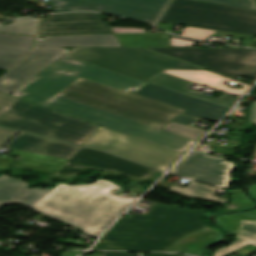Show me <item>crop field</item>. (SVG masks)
Returning <instances> with one entry per match:
<instances>
[{
	"mask_svg": "<svg viewBox=\"0 0 256 256\" xmlns=\"http://www.w3.org/2000/svg\"><path fill=\"white\" fill-rule=\"evenodd\" d=\"M84 171V169L76 167V166H72V165H68L66 164L62 169H60L56 174L59 175H65V176H70L73 174H77Z\"/></svg>",
	"mask_w": 256,
	"mask_h": 256,
	"instance_id": "crop-field-29",
	"label": "crop field"
},
{
	"mask_svg": "<svg viewBox=\"0 0 256 256\" xmlns=\"http://www.w3.org/2000/svg\"><path fill=\"white\" fill-rule=\"evenodd\" d=\"M161 22L256 36V10L173 0Z\"/></svg>",
	"mask_w": 256,
	"mask_h": 256,
	"instance_id": "crop-field-6",
	"label": "crop field"
},
{
	"mask_svg": "<svg viewBox=\"0 0 256 256\" xmlns=\"http://www.w3.org/2000/svg\"><path fill=\"white\" fill-rule=\"evenodd\" d=\"M68 164L93 167L107 171L109 169H115L123 174L136 177L145 178L150 175L154 170L137 165L135 163L114 157L112 155L93 150L82 148L69 162Z\"/></svg>",
	"mask_w": 256,
	"mask_h": 256,
	"instance_id": "crop-field-15",
	"label": "crop field"
},
{
	"mask_svg": "<svg viewBox=\"0 0 256 256\" xmlns=\"http://www.w3.org/2000/svg\"><path fill=\"white\" fill-rule=\"evenodd\" d=\"M35 37L0 34V69L9 70L28 54Z\"/></svg>",
	"mask_w": 256,
	"mask_h": 256,
	"instance_id": "crop-field-19",
	"label": "crop field"
},
{
	"mask_svg": "<svg viewBox=\"0 0 256 256\" xmlns=\"http://www.w3.org/2000/svg\"><path fill=\"white\" fill-rule=\"evenodd\" d=\"M214 3H221L245 8L256 9V3L254 0H200Z\"/></svg>",
	"mask_w": 256,
	"mask_h": 256,
	"instance_id": "crop-field-27",
	"label": "crop field"
},
{
	"mask_svg": "<svg viewBox=\"0 0 256 256\" xmlns=\"http://www.w3.org/2000/svg\"><path fill=\"white\" fill-rule=\"evenodd\" d=\"M172 121L192 126L195 123L199 122L200 119H195V118H191V117H186V116L178 115Z\"/></svg>",
	"mask_w": 256,
	"mask_h": 256,
	"instance_id": "crop-field-30",
	"label": "crop field"
},
{
	"mask_svg": "<svg viewBox=\"0 0 256 256\" xmlns=\"http://www.w3.org/2000/svg\"><path fill=\"white\" fill-rule=\"evenodd\" d=\"M48 109L0 93V127L23 131Z\"/></svg>",
	"mask_w": 256,
	"mask_h": 256,
	"instance_id": "crop-field-16",
	"label": "crop field"
},
{
	"mask_svg": "<svg viewBox=\"0 0 256 256\" xmlns=\"http://www.w3.org/2000/svg\"><path fill=\"white\" fill-rule=\"evenodd\" d=\"M26 186L25 182L1 176L0 209L20 203L41 214L72 224L93 236H99L134 201L113 196L109 190L120 188L101 179L91 185L60 184L52 190H26Z\"/></svg>",
	"mask_w": 256,
	"mask_h": 256,
	"instance_id": "crop-field-2",
	"label": "crop field"
},
{
	"mask_svg": "<svg viewBox=\"0 0 256 256\" xmlns=\"http://www.w3.org/2000/svg\"><path fill=\"white\" fill-rule=\"evenodd\" d=\"M164 73L179 77V78H183L189 81H193L229 94H233V95H237V96H241L243 93L246 92V90L242 89V90H238V89H233L230 88L227 85L222 84L224 81L228 80V81H232L238 84H242L244 85V88H251V85H247L244 83H240L237 81H233L230 79H226L224 77H221L219 75H216L214 73H211L209 71H189V70H166L164 71Z\"/></svg>",
	"mask_w": 256,
	"mask_h": 256,
	"instance_id": "crop-field-20",
	"label": "crop field"
},
{
	"mask_svg": "<svg viewBox=\"0 0 256 256\" xmlns=\"http://www.w3.org/2000/svg\"><path fill=\"white\" fill-rule=\"evenodd\" d=\"M162 130L171 132L192 140L197 141V139L200 137V135H203L207 132V130L198 129L174 122H170L167 126H165Z\"/></svg>",
	"mask_w": 256,
	"mask_h": 256,
	"instance_id": "crop-field-26",
	"label": "crop field"
},
{
	"mask_svg": "<svg viewBox=\"0 0 256 256\" xmlns=\"http://www.w3.org/2000/svg\"><path fill=\"white\" fill-rule=\"evenodd\" d=\"M37 23L38 19L33 17L14 20L13 23L6 26L0 24V32L36 35Z\"/></svg>",
	"mask_w": 256,
	"mask_h": 256,
	"instance_id": "crop-field-24",
	"label": "crop field"
},
{
	"mask_svg": "<svg viewBox=\"0 0 256 256\" xmlns=\"http://www.w3.org/2000/svg\"><path fill=\"white\" fill-rule=\"evenodd\" d=\"M135 94L165 102L186 110L183 114L219 121L230 109L181 94L154 84H146Z\"/></svg>",
	"mask_w": 256,
	"mask_h": 256,
	"instance_id": "crop-field-14",
	"label": "crop field"
},
{
	"mask_svg": "<svg viewBox=\"0 0 256 256\" xmlns=\"http://www.w3.org/2000/svg\"><path fill=\"white\" fill-rule=\"evenodd\" d=\"M74 46L121 47L112 34L45 37V41H36L33 49Z\"/></svg>",
	"mask_w": 256,
	"mask_h": 256,
	"instance_id": "crop-field-18",
	"label": "crop field"
},
{
	"mask_svg": "<svg viewBox=\"0 0 256 256\" xmlns=\"http://www.w3.org/2000/svg\"><path fill=\"white\" fill-rule=\"evenodd\" d=\"M18 132L0 128V148L10 141Z\"/></svg>",
	"mask_w": 256,
	"mask_h": 256,
	"instance_id": "crop-field-28",
	"label": "crop field"
},
{
	"mask_svg": "<svg viewBox=\"0 0 256 256\" xmlns=\"http://www.w3.org/2000/svg\"><path fill=\"white\" fill-rule=\"evenodd\" d=\"M249 121L256 124V102L250 104Z\"/></svg>",
	"mask_w": 256,
	"mask_h": 256,
	"instance_id": "crop-field-32",
	"label": "crop field"
},
{
	"mask_svg": "<svg viewBox=\"0 0 256 256\" xmlns=\"http://www.w3.org/2000/svg\"><path fill=\"white\" fill-rule=\"evenodd\" d=\"M233 166L234 163L225 158L192 152L171 174L229 188Z\"/></svg>",
	"mask_w": 256,
	"mask_h": 256,
	"instance_id": "crop-field-11",
	"label": "crop field"
},
{
	"mask_svg": "<svg viewBox=\"0 0 256 256\" xmlns=\"http://www.w3.org/2000/svg\"><path fill=\"white\" fill-rule=\"evenodd\" d=\"M67 52L64 48L31 50L23 61L0 77V92L11 94Z\"/></svg>",
	"mask_w": 256,
	"mask_h": 256,
	"instance_id": "crop-field-13",
	"label": "crop field"
},
{
	"mask_svg": "<svg viewBox=\"0 0 256 256\" xmlns=\"http://www.w3.org/2000/svg\"><path fill=\"white\" fill-rule=\"evenodd\" d=\"M66 55L107 68L137 80L151 82L227 108L237 98L221 95L218 99L187 89L193 82L162 73L166 69L203 70L184 61L143 48L75 47Z\"/></svg>",
	"mask_w": 256,
	"mask_h": 256,
	"instance_id": "crop-field-4",
	"label": "crop field"
},
{
	"mask_svg": "<svg viewBox=\"0 0 256 256\" xmlns=\"http://www.w3.org/2000/svg\"><path fill=\"white\" fill-rule=\"evenodd\" d=\"M79 77L127 92L145 85V82L64 55L10 96L41 105Z\"/></svg>",
	"mask_w": 256,
	"mask_h": 256,
	"instance_id": "crop-field-5",
	"label": "crop field"
},
{
	"mask_svg": "<svg viewBox=\"0 0 256 256\" xmlns=\"http://www.w3.org/2000/svg\"><path fill=\"white\" fill-rule=\"evenodd\" d=\"M172 0H50L49 11H99L131 17L157 26ZM55 2V4H54ZM173 2V1H172Z\"/></svg>",
	"mask_w": 256,
	"mask_h": 256,
	"instance_id": "crop-field-9",
	"label": "crop field"
},
{
	"mask_svg": "<svg viewBox=\"0 0 256 256\" xmlns=\"http://www.w3.org/2000/svg\"><path fill=\"white\" fill-rule=\"evenodd\" d=\"M212 186L201 184L192 181L183 191L179 194L185 195L187 197H194L198 199L215 201L224 204L226 198L215 197V191L212 190Z\"/></svg>",
	"mask_w": 256,
	"mask_h": 256,
	"instance_id": "crop-field-23",
	"label": "crop field"
},
{
	"mask_svg": "<svg viewBox=\"0 0 256 256\" xmlns=\"http://www.w3.org/2000/svg\"><path fill=\"white\" fill-rule=\"evenodd\" d=\"M112 33L100 14L73 13L41 19L39 35H79Z\"/></svg>",
	"mask_w": 256,
	"mask_h": 256,
	"instance_id": "crop-field-12",
	"label": "crop field"
},
{
	"mask_svg": "<svg viewBox=\"0 0 256 256\" xmlns=\"http://www.w3.org/2000/svg\"><path fill=\"white\" fill-rule=\"evenodd\" d=\"M42 106L182 154L195 143L161 130L181 109L82 78Z\"/></svg>",
	"mask_w": 256,
	"mask_h": 256,
	"instance_id": "crop-field-1",
	"label": "crop field"
},
{
	"mask_svg": "<svg viewBox=\"0 0 256 256\" xmlns=\"http://www.w3.org/2000/svg\"><path fill=\"white\" fill-rule=\"evenodd\" d=\"M204 210L155 204L145 215L121 217L94 247L101 250L182 252L200 256L221 234L202 224Z\"/></svg>",
	"mask_w": 256,
	"mask_h": 256,
	"instance_id": "crop-field-3",
	"label": "crop field"
},
{
	"mask_svg": "<svg viewBox=\"0 0 256 256\" xmlns=\"http://www.w3.org/2000/svg\"><path fill=\"white\" fill-rule=\"evenodd\" d=\"M102 256H130V255H127L121 252H102ZM147 256H180V255L151 253Z\"/></svg>",
	"mask_w": 256,
	"mask_h": 256,
	"instance_id": "crop-field-31",
	"label": "crop field"
},
{
	"mask_svg": "<svg viewBox=\"0 0 256 256\" xmlns=\"http://www.w3.org/2000/svg\"><path fill=\"white\" fill-rule=\"evenodd\" d=\"M123 46L132 47H169L168 33L165 35L148 34L146 29L112 28Z\"/></svg>",
	"mask_w": 256,
	"mask_h": 256,
	"instance_id": "crop-field-21",
	"label": "crop field"
},
{
	"mask_svg": "<svg viewBox=\"0 0 256 256\" xmlns=\"http://www.w3.org/2000/svg\"><path fill=\"white\" fill-rule=\"evenodd\" d=\"M5 147L70 160L82 147L23 133Z\"/></svg>",
	"mask_w": 256,
	"mask_h": 256,
	"instance_id": "crop-field-17",
	"label": "crop field"
},
{
	"mask_svg": "<svg viewBox=\"0 0 256 256\" xmlns=\"http://www.w3.org/2000/svg\"><path fill=\"white\" fill-rule=\"evenodd\" d=\"M247 244L256 246V221L241 220L236 240L227 247L215 250L213 256H223Z\"/></svg>",
	"mask_w": 256,
	"mask_h": 256,
	"instance_id": "crop-field-22",
	"label": "crop field"
},
{
	"mask_svg": "<svg viewBox=\"0 0 256 256\" xmlns=\"http://www.w3.org/2000/svg\"><path fill=\"white\" fill-rule=\"evenodd\" d=\"M99 126L49 110L24 132L81 145Z\"/></svg>",
	"mask_w": 256,
	"mask_h": 256,
	"instance_id": "crop-field-10",
	"label": "crop field"
},
{
	"mask_svg": "<svg viewBox=\"0 0 256 256\" xmlns=\"http://www.w3.org/2000/svg\"><path fill=\"white\" fill-rule=\"evenodd\" d=\"M250 191L256 197V185L251 186ZM217 219L225 228L237 231L240 219L256 220V210L251 212L224 215L218 217Z\"/></svg>",
	"mask_w": 256,
	"mask_h": 256,
	"instance_id": "crop-field-25",
	"label": "crop field"
},
{
	"mask_svg": "<svg viewBox=\"0 0 256 256\" xmlns=\"http://www.w3.org/2000/svg\"><path fill=\"white\" fill-rule=\"evenodd\" d=\"M222 76L256 79V50L204 48H147Z\"/></svg>",
	"mask_w": 256,
	"mask_h": 256,
	"instance_id": "crop-field-7",
	"label": "crop field"
},
{
	"mask_svg": "<svg viewBox=\"0 0 256 256\" xmlns=\"http://www.w3.org/2000/svg\"><path fill=\"white\" fill-rule=\"evenodd\" d=\"M83 146L106 151L166 171L182 154L100 127Z\"/></svg>",
	"mask_w": 256,
	"mask_h": 256,
	"instance_id": "crop-field-8",
	"label": "crop field"
}]
</instances>
